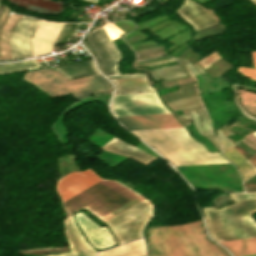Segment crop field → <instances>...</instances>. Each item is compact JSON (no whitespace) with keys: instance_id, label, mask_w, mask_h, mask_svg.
I'll return each instance as SVG.
<instances>
[{"instance_id":"crop-field-19","label":"crop field","mask_w":256,"mask_h":256,"mask_svg":"<svg viewBox=\"0 0 256 256\" xmlns=\"http://www.w3.org/2000/svg\"><path fill=\"white\" fill-rule=\"evenodd\" d=\"M225 156L239 166L243 180L256 173V167L253 166L242 154L234 147L224 152Z\"/></svg>"},{"instance_id":"crop-field-23","label":"crop field","mask_w":256,"mask_h":256,"mask_svg":"<svg viewBox=\"0 0 256 256\" xmlns=\"http://www.w3.org/2000/svg\"><path fill=\"white\" fill-rule=\"evenodd\" d=\"M175 67H179V65L165 67V68L156 69V70H151L150 73L157 72V71H162V70H166V69H170V68H175ZM184 72H185L184 69L182 67H179V68H175V69H170V70H166V71H162V72L153 73L151 75L154 79H156V78L170 76V75L184 73ZM185 75H188V74L184 73V74L165 77V78H161V79H157V80H163V79L174 78V77L185 76Z\"/></svg>"},{"instance_id":"crop-field-34","label":"crop field","mask_w":256,"mask_h":256,"mask_svg":"<svg viewBox=\"0 0 256 256\" xmlns=\"http://www.w3.org/2000/svg\"><path fill=\"white\" fill-rule=\"evenodd\" d=\"M217 137H218L219 141L221 142L223 149H226V148H228V147H230V146L234 145V143L230 142V141H229V140H227L224 136H222V137H223V139L225 140V142H226V143H227V145H228V147H227V145H226V143L224 142V140L222 139V137H221V135H220V132H219V131H218V133H217Z\"/></svg>"},{"instance_id":"crop-field-39","label":"crop field","mask_w":256,"mask_h":256,"mask_svg":"<svg viewBox=\"0 0 256 256\" xmlns=\"http://www.w3.org/2000/svg\"><path fill=\"white\" fill-rule=\"evenodd\" d=\"M202 108H204L203 105L197 106V107H193V108H189V109H184L183 112L184 113H188V112H192V111L199 110V109H202Z\"/></svg>"},{"instance_id":"crop-field-45","label":"crop field","mask_w":256,"mask_h":256,"mask_svg":"<svg viewBox=\"0 0 256 256\" xmlns=\"http://www.w3.org/2000/svg\"><path fill=\"white\" fill-rule=\"evenodd\" d=\"M252 134L256 135V132H254V133H252Z\"/></svg>"},{"instance_id":"crop-field-7","label":"crop field","mask_w":256,"mask_h":256,"mask_svg":"<svg viewBox=\"0 0 256 256\" xmlns=\"http://www.w3.org/2000/svg\"><path fill=\"white\" fill-rule=\"evenodd\" d=\"M88 41L96 51L98 56L97 63L105 75L110 76L118 74L116 65L119 62L120 54L103 27L92 31L88 36Z\"/></svg>"},{"instance_id":"crop-field-13","label":"crop field","mask_w":256,"mask_h":256,"mask_svg":"<svg viewBox=\"0 0 256 256\" xmlns=\"http://www.w3.org/2000/svg\"><path fill=\"white\" fill-rule=\"evenodd\" d=\"M75 218L81 225L90 242L96 248H105L115 244L106 228L98 227L90 219H88L85 215L81 213L76 214Z\"/></svg>"},{"instance_id":"crop-field-18","label":"crop field","mask_w":256,"mask_h":256,"mask_svg":"<svg viewBox=\"0 0 256 256\" xmlns=\"http://www.w3.org/2000/svg\"><path fill=\"white\" fill-rule=\"evenodd\" d=\"M57 69L61 71L69 80L99 74L92 60L82 62V63L72 64V65L57 67Z\"/></svg>"},{"instance_id":"crop-field-35","label":"crop field","mask_w":256,"mask_h":256,"mask_svg":"<svg viewBox=\"0 0 256 256\" xmlns=\"http://www.w3.org/2000/svg\"><path fill=\"white\" fill-rule=\"evenodd\" d=\"M204 137H206L208 140H210L217 148V150H219L221 152V146L219 145V143L216 141V139L209 133L204 135Z\"/></svg>"},{"instance_id":"crop-field-27","label":"crop field","mask_w":256,"mask_h":256,"mask_svg":"<svg viewBox=\"0 0 256 256\" xmlns=\"http://www.w3.org/2000/svg\"><path fill=\"white\" fill-rule=\"evenodd\" d=\"M191 98H193V97H191ZM185 99H189V98H185ZM185 99H181V100H185ZM181 100H178V101H181ZM198 100H200L199 97L193 98V99H189V100H185V101H181V102L174 101V102H177V103L171 102L173 104H169V107L171 108L173 106H177V105H181V104H185V103H190V102H194V101H198ZM201 104H202L201 101H199V102H195V103H190V104H185V105L173 107L172 109L173 110H179V109L193 107V106H197V105H201Z\"/></svg>"},{"instance_id":"crop-field-5","label":"crop field","mask_w":256,"mask_h":256,"mask_svg":"<svg viewBox=\"0 0 256 256\" xmlns=\"http://www.w3.org/2000/svg\"><path fill=\"white\" fill-rule=\"evenodd\" d=\"M152 211L153 207L144 199L105 223L123 244L142 237L141 231Z\"/></svg>"},{"instance_id":"crop-field-33","label":"crop field","mask_w":256,"mask_h":256,"mask_svg":"<svg viewBox=\"0 0 256 256\" xmlns=\"http://www.w3.org/2000/svg\"><path fill=\"white\" fill-rule=\"evenodd\" d=\"M232 86H233V90H234V92H235L236 105L238 106V108L242 111V113H243L246 117H248V118H250V119L256 121L255 118L251 117L250 115H248V114L243 110V108L240 106L239 101H238L237 87H245V86H241V85H232ZM247 88H249V87H247ZM251 89H253V88H251ZM255 90H256V89H255Z\"/></svg>"},{"instance_id":"crop-field-38","label":"crop field","mask_w":256,"mask_h":256,"mask_svg":"<svg viewBox=\"0 0 256 256\" xmlns=\"http://www.w3.org/2000/svg\"><path fill=\"white\" fill-rule=\"evenodd\" d=\"M187 77H190V76H187ZM182 78H186V77H181V78H176V79H171V80H165V81L178 80V79H182ZM165 81H161V82H165ZM172 82H175V81H172ZM172 82H165V83H172ZM165 83H162V84H165ZM172 84H173V83H172ZM165 85H169V84H165ZM165 85H162V86H165ZM174 86H176V85L173 84V85L165 86L164 88L174 87Z\"/></svg>"},{"instance_id":"crop-field-6","label":"crop field","mask_w":256,"mask_h":256,"mask_svg":"<svg viewBox=\"0 0 256 256\" xmlns=\"http://www.w3.org/2000/svg\"><path fill=\"white\" fill-rule=\"evenodd\" d=\"M110 109L114 116L169 113L156 93L114 96Z\"/></svg>"},{"instance_id":"crop-field-10","label":"crop field","mask_w":256,"mask_h":256,"mask_svg":"<svg viewBox=\"0 0 256 256\" xmlns=\"http://www.w3.org/2000/svg\"><path fill=\"white\" fill-rule=\"evenodd\" d=\"M129 130L182 127L171 114L115 117Z\"/></svg>"},{"instance_id":"crop-field-21","label":"crop field","mask_w":256,"mask_h":256,"mask_svg":"<svg viewBox=\"0 0 256 256\" xmlns=\"http://www.w3.org/2000/svg\"><path fill=\"white\" fill-rule=\"evenodd\" d=\"M179 89L180 90L162 95V98L165 100L166 103H169L177 99L198 95L195 83L191 85L179 87Z\"/></svg>"},{"instance_id":"crop-field-30","label":"crop field","mask_w":256,"mask_h":256,"mask_svg":"<svg viewBox=\"0 0 256 256\" xmlns=\"http://www.w3.org/2000/svg\"><path fill=\"white\" fill-rule=\"evenodd\" d=\"M252 56H253L254 67H256V52H252ZM238 72L250 79L256 80V69L241 67L238 69Z\"/></svg>"},{"instance_id":"crop-field-41","label":"crop field","mask_w":256,"mask_h":256,"mask_svg":"<svg viewBox=\"0 0 256 256\" xmlns=\"http://www.w3.org/2000/svg\"><path fill=\"white\" fill-rule=\"evenodd\" d=\"M86 1H90V2L96 3L97 0H86Z\"/></svg>"},{"instance_id":"crop-field-16","label":"crop field","mask_w":256,"mask_h":256,"mask_svg":"<svg viewBox=\"0 0 256 256\" xmlns=\"http://www.w3.org/2000/svg\"><path fill=\"white\" fill-rule=\"evenodd\" d=\"M8 13V8L5 7L1 17H0V27L3 24ZM20 16L9 14L2 31L0 33V59L11 58L8 35L11 28L17 22Z\"/></svg>"},{"instance_id":"crop-field-37","label":"crop field","mask_w":256,"mask_h":256,"mask_svg":"<svg viewBox=\"0 0 256 256\" xmlns=\"http://www.w3.org/2000/svg\"><path fill=\"white\" fill-rule=\"evenodd\" d=\"M186 66H187V68L189 69V71H190V73L192 74V76L198 74L197 70L192 66L191 63L187 64Z\"/></svg>"},{"instance_id":"crop-field-42","label":"crop field","mask_w":256,"mask_h":256,"mask_svg":"<svg viewBox=\"0 0 256 256\" xmlns=\"http://www.w3.org/2000/svg\"><path fill=\"white\" fill-rule=\"evenodd\" d=\"M197 67V66H196ZM198 68V70L202 73V72H204L202 69H200L199 67H197Z\"/></svg>"},{"instance_id":"crop-field-29","label":"crop field","mask_w":256,"mask_h":256,"mask_svg":"<svg viewBox=\"0 0 256 256\" xmlns=\"http://www.w3.org/2000/svg\"><path fill=\"white\" fill-rule=\"evenodd\" d=\"M142 199H144V198L139 196L100 219L105 222V221L109 220L110 218L114 217L115 215L119 214L120 212L124 211L125 209L129 208L130 206L134 205L135 203L139 202Z\"/></svg>"},{"instance_id":"crop-field-36","label":"crop field","mask_w":256,"mask_h":256,"mask_svg":"<svg viewBox=\"0 0 256 256\" xmlns=\"http://www.w3.org/2000/svg\"><path fill=\"white\" fill-rule=\"evenodd\" d=\"M172 61H173L172 59H166V60H159V61L145 63V64H139L136 66L156 65V64H162V63H167V62H172Z\"/></svg>"},{"instance_id":"crop-field-2","label":"crop field","mask_w":256,"mask_h":256,"mask_svg":"<svg viewBox=\"0 0 256 256\" xmlns=\"http://www.w3.org/2000/svg\"><path fill=\"white\" fill-rule=\"evenodd\" d=\"M231 202L235 203L220 210L203 208L212 237L219 242L255 237L256 224L250 216L256 212V193L231 194Z\"/></svg>"},{"instance_id":"crop-field-8","label":"crop field","mask_w":256,"mask_h":256,"mask_svg":"<svg viewBox=\"0 0 256 256\" xmlns=\"http://www.w3.org/2000/svg\"><path fill=\"white\" fill-rule=\"evenodd\" d=\"M40 23L41 20L21 16L9 37L12 58L33 56L31 39Z\"/></svg>"},{"instance_id":"crop-field-40","label":"crop field","mask_w":256,"mask_h":256,"mask_svg":"<svg viewBox=\"0 0 256 256\" xmlns=\"http://www.w3.org/2000/svg\"><path fill=\"white\" fill-rule=\"evenodd\" d=\"M185 125H188L191 121L190 117L186 118L184 116L178 117Z\"/></svg>"},{"instance_id":"crop-field-26","label":"crop field","mask_w":256,"mask_h":256,"mask_svg":"<svg viewBox=\"0 0 256 256\" xmlns=\"http://www.w3.org/2000/svg\"><path fill=\"white\" fill-rule=\"evenodd\" d=\"M76 26L77 24L66 23L63 30L61 31L59 36L56 38L54 43L64 44L65 42H67L70 35L75 30Z\"/></svg>"},{"instance_id":"crop-field-1","label":"crop field","mask_w":256,"mask_h":256,"mask_svg":"<svg viewBox=\"0 0 256 256\" xmlns=\"http://www.w3.org/2000/svg\"><path fill=\"white\" fill-rule=\"evenodd\" d=\"M148 235V256H229L205 238L201 221L174 227H152Z\"/></svg>"},{"instance_id":"crop-field-15","label":"crop field","mask_w":256,"mask_h":256,"mask_svg":"<svg viewBox=\"0 0 256 256\" xmlns=\"http://www.w3.org/2000/svg\"><path fill=\"white\" fill-rule=\"evenodd\" d=\"M13 4L24 7L33 12L47 15H59L63 5L52 0H9Z\"/></svg>"},{"instance_id":"crop-field-22","label":"crop field","mask_w":256,"mask_h":256,"mask_svg":"<svg viewBox=\"0 0 256 256\" xmlns=\"http://www.w3.org/2000/svg\"><path fill=\"white\" fill-rule=\"evenodd\" d=\"M34 67H40V64L37 62L36 59L18 63H4L0 64V73L23 70Z\"/></svg>"},{"instance_id":"crop-field-12","label":"crop field","mask_w":256,"mask_h":256,"mask_svg":"<svg viewBox=\"0 0 256 256\" xmlns=\"http://www.w3.org/2000/svg\"><path fill=\"white\" fill-rule=\"evenodd\" d=\"M175 12L180 17L184 18L190 25H192L195 30L218 22L202 7L190 0H185V4Z\"/></svg>"},{"instance_id":"crop-field-48","label":"crop field","mask_w":256,"mask_h":256,"mask_svg":"<svg viewBox=\"0 0 256 256\" xmlns=\"http://www.w3.org/2000/svg\"><path fill=\"white\" fill-rule=\"evenodd\" d=\"M1 1V0H0Z\"/></svg>"},{"instance_id":"crop-field-43","label":"crop field","mask_w":256,"mask_h":256,"mask_svg":"<svg viewBox=\"0 0 256 256\" xmlns=\"http://www.w3.org/2000/svg\"><path fill=\"white\" fill-rule=\"evenodd\" d=\"M245 256H256V254H251V255H245Z\"/></svg>"},{"instance_id":"crop-field-14","label":"crop field","mask_w":256,"mask_h":256,"mask_svg":"<svg viewBox=\"0 0 256 256\" xmlns=\"http://www.w3.org/2000/svg\"><path fill=\"white\" fill-rule=\"evenodd\" d=\"M102 149H105V150H108V151H111V152H114L117 154H121L124 156H128L146 166L150 162H152L155 158H157V157L147 153L146 151H144L136 146L133 147L115 137L112 140H110L105 146H103Z\"/></svg>"},{"instance_id":"crop-field-20","label":"crop field","mask_w":256,"mask_h":256,"mask_svg":"<svg viewBox=\"0 0 256 256\" xmlns=\"http://www.w3.org/2000/svg\"><path fill=\"white\" fill-rule=\"evenodd\" d=\"M223 244H225L235 256L256 253V238L223 242Z\"/></svg>"},{"instance_id":"crop-field-31","label":"crop field","mask_w":256,"mask_h":256,"mask_svg":"<svg viewBox=\"0 0 256 256\" xmlns=\"http://www.w3.org/2000/svg\"><path fill=\"white\" fill-rule=\"evenodd\" d=\"M104 29L107 31V33L109 34V36L112 38V40H116L118 39L122 34H124V32H122L120 29H118L115 25H113L112 23L107 24L105 26H103ZM105 31V32H106Z\"/></svg>"},{"instance_id":"crop-field-32","label":"crop field","mask_w":256,"mask_h":256,"mask_svg":"<svg viewBox=\"0 0 256 256\" xmlns=\"http://www.w3.org/2000/svg\"><path fill=\"white\" fill-rule=\"evenodd\" d=\"M218 58H220V57L215 51V52L211 53L210 55H208L207 57L200 60L197 64L201 65L202 67H204L206 69L212 62H214Z\"/></svg>"},{"instance_id":"crop-field-3","label":"crop field","mask_w":256,"mask_h":256,"mask_svg":"<svg viewBox=\"0 0 256 256\" xmlns=\"http://www.w3.org/2000/svg\"><path fill=\"white\" fill-rule=\"evenodd\" d=\"M137 196L115 181L102 180L63 206L67 216L84 207L100 218Z\"/></svg>"},{"instance_id":"crop-field-17","label":"crop field","mask_w":256,"mask_h":256,"mask_svg":"<svg viewBox=\"0 0 256 256\" xmlns=\"http://www.w3.org/2000/svg\"><path fill=\"white\" fill-rule=\"evenodd\" d=\"M114 82L116 83L117 86L149 84L147 78L121 79V80H114ZM149 92H155L150 85L125 86V87H116L115 95L149 93Z\"/></svg>"},{"instance_id":"crop-field-24","label":"crop field","mask_w":256,"mask_h":256,"mask_svg":"<svg viewBox=\"0 0 256 256\" xmlns=\"http://www.w3.org/2000/svg\"><path fill=\"white\" fill-rule=\"evenodd\" d=\"M199 113H200L201 118H202L203 129H204L205 133H209L210 132V130H209V119L207 117V114L204 111V109L199 110ZM191 115L194 119V124H195L196 128L198 129L199 133L203 135L204 133L202 131V127H201V124H200L198 114L196 112H193V113H191Z\"/></svg>"},{"instance_id":"crop-field-44","label":"crop field","mask_w":256,"mask_h":256,"mask_svg":"<svg viewBox=\"0 0 256 256\" xmlns=\"http://www.w3.org/2000/svg\"><path fill=\"white\" fill-rule=\"evenodd\" d=\"M254 4H256V0H251Z\"/></svg>"},{"instance_id":"crop-field-9","label":"crop field","mask_w":256,"mask_h":256,"mask_svg":"<svg viewBox=\"0 0 256 256\" xmlns=\"http://www.w3.org/2000/svg\"><path fill=\"white\" fill-rule=\"evenodd\" d=\"M100 180L91 170L69 173L56 183V190L62 202H65Z\"/></svg>"},{"instance_id":"crop-field-47","label":"crop field","mask_w":256,"mask_h":256,"mask_svg":"<svg viewBox=\"0 0 256 256\" xmlns=\"http://www.w3.org/2000/svg\"><path fill=\"white\" fill-rule=\"evenodd\" d=\"M145 256V255H144Z\"/></svg>"},{"instance_id":"crop-field-46","label":"crop field","mask_w":256,"mask_h":256,"mask_svg":"<svg viewBox=\"0 0 256 256\" xmlns=\"http://www.w3.org/2000/svg\"><path fill=\"white\" fill-rule=\"evenodd\" d=\"M212 130V129H211ZM213 133V132H212Z\"/></svg>"},{"instance_id":"crop-field-4","label":"crop field","mask_w":256,"mask_h":256,"mask_svg":"<svg viewBox=\"0 0 256 256\" xmlns=\"http://www.w3.org/2000/svg\"><path fill=\"white\" fill-rule=\"evenodd\" d=\"M23 78L51 96L64 95L70 92L76 98L81 99L111 90V85L100 75L68 81L51 68L27 72Z\"/></svg>"},{"instance_id":"crop-field-28","label":"crop field","mask_w":256,"mask_h":256,"mask_svg":"<svg viewBox=\"0 0 256 256\" xmlns=\"http://www.w3.org/2000/svg\"><path fill=\"white\" fill-rule=\"evenodd\" d=\"M163 48H164V46H160V47L148 48V49H143V50H137L136 52H137V54H139V53L149 52V51L163 49ZM166 54L167 53L165 50L153 52V53H149V54L139 55V56H137V60L156 57V56H162V55H166Z\"/></svg>"},{"instance_id":"crop-field-11","label":"crop field","mask_w":256,"mask_h":256,"mask_svg":"<svg viewBox=\"0 0 256 256\" xmlns=\"http://www.w3.org/2000/svg\"><path fill=\"white\" fill-rule=\"evenodd\" d=\"M65 235L68 239L72 252L51 256H95L96 252L89 246L80 232L77 230L73 216L64 220Z\"/></svg>"},{"instance_id":"crop-field-25","label":"crop field","mask_w":256,"mask_h":256,"mask_svg":"<svg viewBox=\"0 0 256 256\" xmlns=\"http://www.w3.org/2000/svg\"><path fill=\"white\" fill-rule=\"evenodd\" d=\"M247 92V91H246ZM241 103L253 115H256V94L247 92L240 96Z\"/></svg>"}]
</instances>
